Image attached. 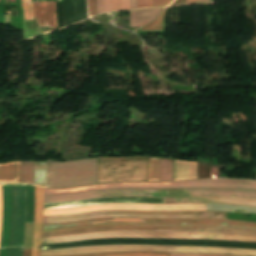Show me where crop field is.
Returning <instances> with one entry per match:
<instances>
[{"instance_id": "28", "label": "crop field", "mask_w": 256, "mask_h": 256, "mask_svg": "<svg viewBox=\"0 0 256 256\" xmlns=\"http://www.w3.org/2000/svg\"><path fill=\"white\" fill-rule=\"evenodd\" d=\"M143 7H153V0H137V9Z\"/></svg>"}, {"instance_id": "25", "label": "crop field", "mask_w": 256, "mask_h": 256, "mask_svg": "<svg viewBox=\"0 0 256 256\" xmlns=\"http://www.w3.org/2000/svg\"><path fill=\"white\" fill-rule=\"evenodd\" d=\"M23 10V20H34L32 0H21Z\"/></svg>"}, {"instance_id": "22", "label": "crop field", "mask_w": 256, "mask_h": 256, "mask_svg": "<svg viewBox=\"0 0 256 256\" xmlns=\"http://www.w3.org/2000/svg\"><path fill=\"white\" fill-rule=\"evenodd\" d=\"M33 162L21 161V182L32 183Z\"/></svg>"}, {"instance_id": "35", "label": "crop field", "mask_w": 256, "mask_h": 256, "mask_svg": "<svg viewBox=\"0 0 256 256\" xmlns=\"http://www.w3.org/2000/svg\"><path fill=\"white\" fill-rule=\"evenodd\" d=\"M131 9L136 8V0H130Z\"/></svg>"}, {"instance_id": "36", "label": "crop field", "mask_w": 256, "mask_h": 256, "mask_svg": "<svg viewBox=\"0 0 256 256\" xmlns=\"http://www.w3.org/2000/svg\"><path fill=\"white\" fill-rule=\"evenodd\" d=\"M30 251H31V249L23 250V255L22 256H30Z\"/></svg>"}, {"instance_id": "38", "label": "crop field", "mask_w": 256, "mask_h": 256, "mask_svg": "<svg viewBox=\"0 0 256 256\" xmlns=\"http://www.w3.org/2000/svg\"><path fill=\"white\" fill-rule=\"evenodd\" d=\"M203 4H208L209 0H202Z\"/></svg>"}, {"instance_id": "8", "label": "crop field", "mask_w": 256, "mask_h": 256, "mask_svg": "<svg viewBox=\"0 0 256 256\" xmlns=\"http://www.w3.org/2000/svg\"><path fill=\"white\" fill-rule=\"evenodd\" d=\"M226 213L213 211L163 212V211H97L72 215L43 217V224L76 221L102 217H158V218H222Z\"/></svg>"}, {"instance_id": "4", "label": "crop field", "mask_w": 256, "mask_h": 256, "mask_svg": "<svg viewBox=\"0 0 256 256\" xmlns=\"http://www.w3.org/2000/svg\"><path fill=\"white\" fill-rule=\"evenodd\" d=\"M116 237H143V238H179V239H220L256 242V237L219 234V233H178V232H131V231H113V232H96L74 236L49 237L42 238V244L60 243L92 238H116Z\"/></svg>"}, {"instance_id": "23", "label": "crop field", "mask_w": 256, "mask_h": 256, "mask_svg": "<svg viewBox=\"0 0 256 256\" xmlns=\"http://www.w3.org/2000/svg\"><path fill=\"white\" fill-rule=\"evenodd\" d=\"M166 25V10L152 23L141 28V31L165 30Z\"/></svg>"}, {"instance_id": "37", "label": "crop field", "mask_w": 256, "mask_h": 256, "mask_svg": "<svg viewBox=\"0 0 256 256\" xmlns=\"http://www.w3.org/2000/svg\"><path fill=\"white\" fill-rule=\"evenodd\" d=\"M10 6H16L15 0H8Z\"/></svg>"}, {"instance_id": "7", "label": "crop field", "mask_w": 256, "mask_h": 256, "mask_svg": "<svg viewBox=\"0 0 256 256\" xmlns=\"http://www.w3.org/2000/svg\"><path fill=\"white\" fill-rule=\"evenodd\" d=\"M147 163L142 156L98 158V183L146 181Z\"/></svg>"}, {"instance_id": "11", "label": "crop field", "mask_w": 256, "mask_h": 256, "mask_svg": "<svg viewBox=\"0 0 256 256\" xmlns=\"http://www.w3.org/2000/svg\"><path fill=\"white\" fill-rule=\"evenodd\" d=\"M166 190L102 191L69 195L44 196V203L63 202L103 197H165Z\"/></svg>"}, {"instance_id": "13", "label": "crop field", "mask_w": 256, "mask_h": 256, "mask_svg": "<svg viewBox=\"0 0 256 256\" xmlns=\"http://www.w3.org/2000/svg\"><path fill=\"white\" fill-rule=\"evenodd\" d=\"M42 213H43V188L35 186L34 239H33L31 256H39L40 254Z\"/></svg>"}, {"instance_id": "29", "label": "crop field", "mask_w": 256, "mask_h": 256, "mask_svg": "<svg viewBox=\"0 0 256 256\" xmlns=\"http://www.w3.org/2000/svg\"><path fill=\"white\" fill-rule=\"evenodd\" d=\"M90 16L97 14L96 0H88Z\"/></svg>"}, {"instance_id": "27", "label": "crop field", "mask_w": 256, "mask_h": 256, "mask_svg": "<svg viewBox=\"0 0 256 256\" xmlns=\"http://www.w3.org/2000/svg\"><path fill=\"white\" fill-rule=\"evenodd\" d=\"M23 248H5L0 250V256H21Z\"/></svg>"}, {"instance_id": "26", "label": "crop field", "mask_w": 256, "mask_h": 256, "mask_svg": "<svg viewBox=\"0 0 256 256\" xmlns=\"http://www.w3.org/2000/svg\"><path fill=\"white\" fill-rule=\"evenodd\" d=\"M112 8L115 10H129V0H112Z\"/></svg>"}, {"instance_id": "34", "label": "crop field", "mask_w": 256, "mask_h": 256, "mask_svg": "<svg viewBox=\"0 0 256 256\" xmlns=\"http://www.w3.org/2000/svg\"><path fill=\"white\" fill-rule=\"evenodd\" d=\"M97 9H98V14L102 12L101 0H97Z\"/></svg>"}, {"instance_id": "32", "label": "crop field", "mask_w": 256, "mask_h": 256, "mask_svg": "<svg viewBox=\"0 0 256 256\" xmlns=\"http://www.w3.org/2000/svg\"><path fill=\"white\" fill-rule=\"evenodd\" d=\"M1 220H2V197H1V184H0V234H1Z\"/></svg>"}, {"instance_id": "6", "label": "crop field", "mask_w": 256, "mask_h": 256, "mask_svg": "<svg viewBox=\"0 0 256 256\" xmlns=\"http://www.w3.org/2000/svg\"><path fill=\"white\" fill-rule=\"evenodd\" d=\"M97 183V159L70 162L49 161L48 187H67Z\"/></svg>"}, {"instance_id": "5", "label": "crop field", "mask_w": 256, "mask_h": 256, "mask_svg": "<svg viewBox=\"0 0 256 256\" xmlns=\"http://www.w3.org/2000/svg\"><path fill=\"white\" fill-rule=\"evenodd\" d=\"M110 251H156V252H201L232 254L241 256H256L254 250L213 248V247H183V246H134V245H110V246H90L59 250L41 251L40 256L47 255H66L82 254L91 252H110Z\"/></svg>"}, {"instance_id": "1", "label": "crop field", "mask_w": 256, "mask_h": 256, "mask_svg": "<svg viewBox=\"0 0 256 256\" xmlns=\"http://www.w3.org/2000/svg\"><path fill=\"white\" fill-rule=\"evenodd\" d=\"M183 188H224L256 190V182L243 180H192L166 183H106L82 187L45 189L44 195L69 194L88 191L117 189H183Z\"/></svg>"}, {"instance_id": "17", "label": "crop field", "mask_w": 256, "mask_h": 256, "mask_svg": "<svg viewBox=\"0 0 256 256\" xmlns=\"http://www.w3.org/2000/svg\"><path fill=\"white\" fill-rule=\"evenodd\" d=\"M197 163L174 160V180L197 179Z\"/></svg>"}, {"instance_id": "10", "label": "crop field", "mask_w": 256, "mask_h": 256, "mask_svg": "<svg viewBox=\"0 0 256 256\" xmlns=\"http://www.w3.org/2000/svg\"><path fill=\"white\" fill-rule=\"evenodd\" d=\"M103 225H128V224H103ZM103 225H95V226H103ZM128 226H148V225H128ZM128 226H104V227H94V226H88V227H94V228H86V227H80V228H86V229H77V230H68V229H62V230H68V231H60V230H49V231H60V232H49V231H43V232H49V233H43L42 237H48V236H62V235H74V234H80V233H87V232H95V231H101V230H149V229H157V230H211V231H234V232H243V233H253L256 234V230L252 228H238V227H218V226H149V227H211V228H238V229H251V230H237V229H211V228H148V227H128ZM150 231H156V230H150ZM211 231H180V232H211ZM234 232H219V233H234ZM243 233H234V234H243ZM243 235H252V234H243ZM256 236V235H252Z\"/></svg>"}, {"instance_id": "30", "label": "crop field", "mask_w": 256, "mask_h": 256, "mask_svg": "<svg viewBox=\"0 0 256 256\" xmlns=\"http://www.w3.org/2000/svg\"><path fill=\"white\" fill-rule=\"evenodd\" d=\"M173 0H154V7H164Z\"/></svg>"}, {"instance_id": "21", "label": "crop field", "mask_w": 256, "mask_h": 256, "mask_svg": "<svg viewBox=\"0 0 256 256\" xmlns=\"http://www.w3.org/2000/svg\"><path fill=\"white\" fill-rule=\"evenodd\" d=\"M160 181H172V161L160 159Z\"/></svg>"}, {"instance_id": "12", "label": "crop field", "mask_w": 256, "mask_h": 256, "mask_svg": "<svg viewBox=\"0 0 256 256\" xmlns=\"http://www.w3.org/2000/svg\"><path fill=\"white\" fill-rule=\"evenodd\" d=\"M38 1H41V0H38ZM33 7H34V15H35V18H38L39 25L57 28L55 0L35 2L33 3ZM38 22H37V19H35L37 34L50 31V30H56L54 28L38 26Z\"/></svg>"}, {"instance_id": "2", "label": "crop field", "mask_w": 256, "mask_h": 256, "mask_svg": "<svg viewBox=\"0 0 256 256\" xmlns=\"http://www.w3.org/2000/svg\"><path fill=\"white\" fill-rule=\"evenodd\" d=\"M192 200H229V201H243L256 203V200L243 198H229V197H185V198H166L167 202L178 201H192ZM229 201H192V202H178V203H222L232 205H247L256 206V204L243 202H229ZM171 204V203H166ZM97 210H165V211H192V210H206V204H103L86 207H75L65 209H47L44 210L43 216L72 214Z\"/></svg>"}, {"instance_id": "3", "label": "crop field", "mask_w": 256, "mask_h": 256, "mask_svg": "<svg viewBox=\"0 0 256 256\" xmlns=\"http://www.w3.org/2000/svg\"><path fill=\"white\" fill-rule=\"evenodd\" d=\"M3 224L1 247L23 246L25 184H2Z\"/></svg>"}, {"instance_id": "16", "label": "crop field", "mask_w": 256, "mask_h": 256, "mask_svg": "<svg viewBox=\"0 0 256 256\" xmlns=\"http://www.w3.org/2000/svg\"><path fill=\"white\" fill-rule=\"evenodd\" d=\"M66 256H169V253L156 252H110V253H91L82 255H66ZM170 256H222L212 254H170Z\"/></svg>"}, {"instance_id": "18", "label": "crop field", "mask_w": 256, "mask_h": 256, "mask_svg": "<svg viewBox=\"0 0 256 256\" xmlns=\"http://www.w3.org/2000/svg\"><path fill=\"white\" fill-rule=\"evenodd\" d=\"M20 180V161L0 164V183Z\"/></svg>"}, {"instance_id": "9", "label": "crop field", "mask_w": 256, "mask_h": 256, "mask_svg": "<svg viewBox=\"0 0 256 256\" xmlns=\"http://www.w3.org/2000/svg\"><path fill=\"white\" fill-rule=\"evenodd\" d=\"M113 219H139V218H102V219H92L60 224H49L43 225L42 230L49 229H62L79 227L86 225H94L95 222L99 221H113ZM114 222H141V220H114ZM142 223L150 224H201V225H233V226H243L256 228V223L241 222V221H228V220H213V219H142ZM103 224V223H100ZM128 224H138V223H128Z\"/></svg>"}, {"instance_id": "19", "label": "crop field", "mask_w": 256, "mask_h": 256, "mask_svg": "<svg viewBox=\"0 0 256 256\" xmlns=\"http://www.w3.org/2000/svg\"><path fill=\"white\" fill-rule=\"evenodd\" d=\"M47 161L34 162L33 183L46 186Z\"/></svg>"}, {"instance_id": "33", "label": "crop field", "mask_w": 256, "mask_h": 256, "mask_svg": "<svg viewBox=\"0 0 256 256\" xmlns=\"http://www.w3.org/2000/svg\"><path fill=\"white\" fill-rule=\"evenodd\" d=\"M186 4H202L201 0H186Z\"/></svg>"}, {"instance_id": "20", "label": "crop field", "mask_w": 256, "mask_h": 256, "mask_svg": "<svg viewBox=\"0 0 256 256\" xmlns=\"http://www.w3.org/2000/svg\"><path fill=\"white\" fill-rule=\"evenodd\" d=\"M26 191H27L26 222H33L34 186L26 184Z\"/></svg>"}, {"instance_id": "24", "label": "crop field", "mask_w": 256, "mask_h": 256, "mask_svg": "<svg viewBox=\"0 0 256 256\" xmlns=\"http://www.w3.org/2000/svg\"><path fill=\"white\" fill-rule=\"evenodd\" d=\"M147 181H159V159L149 158Z\"/></svg>"}, {"instance_id": "31", "label": "crop field", "mask_w": 256, "mask_h": 256, "mask_svg": "<svg viewBox=\"0 0 256 256\" xmlns=\"http://www.w3.org/2000/svg\"><path fill=\"white\" fill-rule=\"evenodd\" d=\"M103 12L111 11V0H102Z\"/></svg>"}, {"instance_id": "14", "label": "crop field", "mask_w": 256, "mask_h": 256, "mask_svg": "<svg viewBox=\"0 0 256 256\" xmlns=\"http://www.w3.org/2000/svg\"><path fill=\"white\" fill-rule=\"evenodd\" d=\"M192 196H230L256 199V192L241 191V190H205V189H191L186 190ZM189 194V195H190Z\"/></svg>"}, {"instance_id": "39", "label": "crop field", "mask_w": 256, "mask_h": 256, "mask_svg": "<svg viewBox=\"0 0 256 256\" xmlns=\"http://www.w3.org/2000/svg\"><path fill=\"white\" fill-rule=\"evenodd\" d=\"M0 5H1V2H0Z\"/></svg>"}, {"instance_id": "15", "label": "crop field", "mask_w": 256, "mask_h": 256, "mask_svg": "<svg viewBox=\"0 0 256 256\" xmlns=\"http://www.w3.org/2000/svg\"><path fill=\"white\" fill-rule=\"evenodd\" d=\"M164 8L139 9L130 11V27H142L157 17Z\"/></svg>"}]
</instances>
